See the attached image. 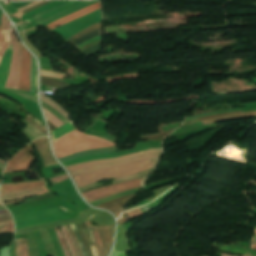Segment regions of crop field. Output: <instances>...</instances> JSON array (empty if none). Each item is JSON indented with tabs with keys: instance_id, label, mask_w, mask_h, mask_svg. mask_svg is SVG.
Returning a JSON list of instances; mask_svg holds the SVG:
<instances>
[{
	"instance_id": "8a807250",
	"label": "crop field",
	"mask_w": 256,
	"mask_h": 256,
	"mask_svg": "<svg viewBox=\"0 0 256 256\" xmlns=\"http://www.w3.org/2000/svg\"><path fill=\"white\" fill-rule=\"evenodd\" d=\"M57 158L82 150L115 146L114 144L77 132L76 130L52 142Z\"/></svg>"
},
{
	"instance_id": "ac0d7876",
	"label": "crop field",
	"mask_w": 256,
	"mask_h": 256,
	"mask_svg": "<svg viewBox=\"0 0 256 256\" xmlns=\"http://www.w3.org/2000/svg\"><path fill=\"white\" fill-rule=\"evenodd\" d=\"M158 158L145 160L137 163H133L126 166L104 169L100 171L89 172L83 175L73 177L77 188L86 184L102 181L105 179L116 178L139 171L154 168L157 164Z\"/></svg>"
},
{
	"instance_id": "34b2d1b8",
	"label": "crop field",
	"mask_w": 256,
	"mask_h": 256,
	"mask_svg": "<svg viewBox=\"0 0 256 256\" xmlns=\"http://www.w3.org/2000/svg\"><path fill=\"white\" fill-rule=\"evenodd\" d=\"M146 176L135 178V179L125 181L122 183L105 186V187L98 188L95 190L83 192L81 194L84 196L86 201L90 202V201H93V200H96V199H99V198H102V197H105V196H108V195H111L114 193L141 187L144 183Z\"/></svg>"
},
{
	"instance_id": "412701ff",
	"label": "crop field",
	"mask_w": 256,
	"mask_h": 256,
	"mask_svg": "<svg viewBox=\"0 0 256 256\" xmlns=\"http://www.w3.org/2000/svg\"><path fill=\"white\" fill-rule=\"evenodd\" d=\"M10 37H11V44L13 47V56L10 64L9 76L4 88L18 90L21 52H20L19 43L13 33V30H10Z\"/></svg>"
},
{
	"instance_id": "f4fd0767",
	"label": "crop field",
	"mask_w": 256,
	"mask_h": 256,
	"mask_svg": "<svg viewBox=\"0 0 256 256\" xmlns=\"http://www.w3.org/2000/svg\"><path fill=\"white\" fill-rule=\"evenodd\" d=\"M213 90L217 93L224 92H239V91H248L255 90L256 87L251 85L248 80L245 79H234L229 78L227 81H223L220 83L212 82Z\"/></svg>"
},
{
	"instance_id": "dd49c442",
	"label": "crop field",
	"mask_w": 256,
	"mask_h": 256,
	"mask_svg": "<svg viewBox=\"0 0 256 256\" xmlns=\"http://www.w3.org/2000/svg\"><path fill=\"white\" fill-rule=\"evenodd\" d=\"M30 147L27 145L18 151L9 161L5 172H15L20 170H28L33 162V157L29 153Z\"/></svg>"
},
{
	"instance_id": "e52e79f7",
	"label": "crop field",
	"mask_w": 256,
	"mask_h": 256,
	"mask_svg": "<svg viewBox=\"0 0 256 256\" xmlns=\"http://www.w3.org/2000/svg\"><path fill=\"white\" fill-rule=\"evenodd\" d=\"M21 52H22V64L20 68V82L19 90L29 91V73H30V53L24 49L20 42Z\"/></svg>"
},
{
	"instance_id": "d8731c3e",
	"label": "crop field",
	"mask_w": 256,
	"mask_h": 256,
	"mask_svg": "<svg viewBox=\"0 0 256 256\" xmlns=\"http://www.w3.org/2000/svg\"><path fill=\"white\" fill-rule=\"evenodd\" d=\"M146 149H150V148L143 147V148H136V149H133V150L123 151V152L87 155V156H82V157L75 158V159L67 161V162H63L62 164L64 166H66V165L79 163V162H84V161L119 157V156H124V155L130 154V153H133V152L142 151V150H146Z\"/></svg>"
},
{
	"instance_id": "5a996713",
	"label": "crop field",
	"mask_w": 256,
	"mask_h": 256,
	"mask_svg": "<svg viewBox=\"0 0 256 256\" xmlns=\"http://www.w3.org/2000/svg\"><path fill=\"white\" fill-rule=\"evenodd\" d=\"M45 192H48V190L45 188V186H43L39 188L25 189V190L2 194L0 195V198H1V202L4 203V202L28 198L41 193H45Z\"/></svg>"
},
{
	"instance_id": "3316defc",
	"label": "crop field",
	"mask_w": 256,
	"mask_h": 256,
	"mask_svg": "<svg viewBox=\"0 0 256 256\" xmlns=\"http://www.w3.org/2000/svg\"><path fill=\"white\" fill-rule=\"evenodd\" d=\"M159 151H161V149H151V150H147V151H144V152L133 153V154H130V155H127V156H124V157H119V158L79 163V164L67 166L66 169L68 170V172H70V171H73V170H76V169H79V168H82V167H85V166H89V165H100V164H106V163H113V162L129 159V158L141 156L143 154L154 153V152H159Z\"/></svg>"
},
{
	"instance_id": "28ad6ade",
	"label": "crop field",
	"mask_w": 256,
	"mask_h": 256,
	"mask_svg": "<svg viewBox=\"0 0 256 256\" xmlns=\"http://www.w3.org/2000/svg\"><path fill=\"white\" fill-rule=\"evenodd\" d=\"M160 153H161V152H159V153H154V154L143 155V156H141V157L129 159V160L122 161V162H118V163H114V164H106V165H101V166H90V167H86V168H82V169H79V170L70 172V174H71L72 176H74V175H78V174L85 173V172H89V171H93V170H98V169H104V168H109V167H115V166L126 165V164H130V163H133V162L145 160V159H150V158L159 157Z\"/></svg>"
},
{
	"instance_id": "d1516ede",
	"label": "crop field",
	"mask_w": 256,
	"mask_h": 256,
	"mask_svg": "<svg viewBox=\"0 0 256 256\" xmlns=\"http://www.w3.org/2000/svg\"><path fill=\"white\" fill-rule=\"evenodd\" d=\"M99 8H100V3L98 2V3H96L94 5H91V6L87 7V8H84V9L79 10L77 12H74V13H72L70 15H67V16H65V17H63V18H61V19H59V20H57V21H55V22L45 26V27L50 31V30H52V29H54V28H56V27H58L60 25H63V24H65V23H67V22H69L71 20H74V19H76V18H78V17H80L82 15H85V14H87V13L93 11V10L99 9Z\"/></svg>"
},
{
	"instance_id": "22f410ed",
	"label": "crop field",
	"mask_w": 256,
	"mask_h": 256,
	"mask_svg": "<svg viewBox=\"0 0 256 256\" xmlns=\"http://www.w3.org/2000/svg\"><path fill=\"white\" fill-rule=\"evenodd\" d=\"M11 56H12V48L10 45L6 53L3 55L2 62L0 65V88L4 87V84L8 75ZM21 92H24V91H21ZM25 93H29V92H25ZM29 94H32V93H29ZM32 95H36V94H32Z\"/></svg>"
},
{
	"instance_id": "cbeb9de0",
	"label": "crop field",
	"mask_w": 256,
	"mask_h": 256,
	"mask_svg": "<svg viewBox=\"0 0 256 256\" xmlns=\"http://www.w3.org/2000/svg\"><path fill=\"white\" fill-rule=\"evenodd\" d=\"M43 185H45L43 181H33V182L19 183V184H1L0 194L10 192V191L20 190V189H25V188L43 186Z\"/></svg>"
},
{
	"instance_id": "5142ce71",
	"label": "crop field",
	"mask_w": 256,
	"mask_h": 256,
	"mask_svg": "<svg viewBox=\"0 0 256 256\" xmlns=\"http://www.w3.org/2000/svg\"><path fill=\"white\" fill-rule=\"evenodd\" d=\"M66 226H67L68 230L70 231V233H71V235H72V237H73V239H74V242H75V244H76V246H77V249H78L79 256H82L81 251H80V248H79V246H78V243H77V241H76L75 235H74V233H73V230H72L70 224H68V225H66ZM66 226H62V227H60V228H61V230H62V232H63V234H64V236H65V238H66V240H67V242H68V245H69V248H70V250H71L72 256H78L77 250H76V246H75V244H74V242H73V240H72V238H71V236H70V234H69V232H68Z\"/></svg>"
},
{
	"instance_id": "d9b57169",
	"label": "crop field",
	"mask_w": 256,
	"mask_h": 256,
	"mask_svg": "<svg viewBox=\"0 0 256 256\" xmlns=\"http://www.w3.org/2000/svg\"><path fill=\"white\" fill-rule=\"evenodd\" d=\"M87 230H88L90 239L93 243V245H91L93 256H105L100 238L97 234V230H94V229H87Z\"/></svg>"
},
{
	"instance_id": "733c2abd",
	"label": "crop field",
	"mask_w": 256,
	"mask_h": 256,
	"mask_svg": "<svg viewBox=\"0 0 256 256\" xmlns=\"http://www.w3.org/2000/svg\"><path fill=\"white\" fill-rule=\"evenodd\" d=\"M16 256H28L26 239L15 240Z\"/></svg>"
},
{
	"instance_id": "4a817a6b",
	"label": "crop field",
	"mask_w": 256,
	"mask_h": 256,
	"mask_svg": "<svg viewBox=\"0 0 256 256\" xmlns=\"http://www.w3.org/2000/svg\"><path fill=\"white\" fill-rule=\"evenodd\" d=\"M57 80L52 79V78H48V77H41V84L47 85V86L58 87V88H61V89L65 88V87L72 86L70 84H67V83L61 82V81H57Z\"/></svg>"
},
{
	"instance_id": "bc2a9ffb",
	"label": "crop field",
	"mask_w": 256,
	"mask_h": 256,
	"mask_svg": "<svg viewBox=\"0 0 256 256\" xmlns=\"http://www.w3.org/2000/svg\"><path fill=\"white\" fill-rule=\"evenodd\" d=\"M75 129V127L72 125L71 122H68L67 124H65L64 126L58 128V129H55L53 132H52V135H53V140L61 137L62 135L68 133L69 131Z\"/></svg>"
},
{
	"instance_id": "214f88e0",
	"label": "crop field",
	"mask_w": 256,
	"mask_h": 256,
	"mask_svg": "<svg viewBox=\"0 0 256 256\" xmlns=\"http://www.w3.org/2000/svg\"><path fill=\"white\" fill-rule=\"evenodd\" d=\"M8 45H9L8 31L0 29V58Z\"/></svg>"
},
{
	"instance_id": "92a150f3",
	"label": "crop field",
	"mask_w": 256,
	"mask_h": 256,
	"mask_svg": "<svg viewBox=\"0 0 256 256\" xmlns=\"http://www.w3.org/2000/svg\"><path fill=\"white\" fill-rule=\"evenodd\" d=\"M65 256H71L68 245L59 227L54 228Z\"/></svg>"
},
{
	"instance_id": "dafd665d",
	"label": "crop field",
	"mask_w": 256,
	"mask_h": 256,
	"mask_svg": "<svg viewBox=\"0 0 256 256\" xmlns=\"http://www.w3.org/2000/svg\"><path fill=\"white\" fill-rule=\"evenodd\" d=\"M31 63H32V68H31V73H30V91H32V70H33V57L31 56ZM33 92L37 93V66L36 62L34 59V71H33Z\"/></svg>"
},
{
	"instance_id": "00972430",
	"label": "crop field",
	"mask_w": 256,
	"mask_h": 256,
	"mask_svg": "<svg viewBox=\"0 0 256 256\" xmlns=\"http://www.w3.org/2000/svg\"><path fill=\"white\" fill-rule=\"evenodd\" d=\"M43 97L46 98L47 100L53 102L54 104H56L60 109H62V110L67 114V116H66L57 106H55V105L52 104L51 102L47 101V100L44 99ZM41 100H43L44 102H46L47 104H49L51 107H53L56 111H58L61 115H63L66 119H68V120L70 121V119H69V114H68L61 106H59L56 102H54L52 99H50V98H48L47 96L41 94Z\"/></svg>"
},
{
	"instance_id": "a9b5d70f",
	"label": "crop field",
	"mask_w": 256,
	"mask_h": 256,
	"mask_svg": "<svg viewBox=\"0 0 256 256\" xmlns=\"http://www.w3.org/2000/svg\"><path fill=\"white\" fill-rule=\"evenodd\" d=\"M87 2H89V1H82V2H80V3H78V4L74 5V6H72V7H70V8H68V9H66V10H63V11H61V12H59V13H56V14H54V15L48 17V18H45V19L39 21L38 23L42 24V23L46 22L47 20H49V19H51V18H53V17H55V16L61 15V14L65 13V12H68V11H70V10H72V9H75V8H77V7H79V6L83 5V4H85V3H87ZM40 24H39V25H40Z\"/></svg>"
},
{
	"instance_id": "4177f3b9",
	"label": "crop field",
	"mask_w": 256,
	"mask_h": 256,
	"mask_svg": "<svg viewBox=\"0 0 256 256\" xmlns=\"http://www.w3.org/2000/svg\"><path fill=\"white\" fill-rule=\"evenodd\" d=\"M25 120L27 122H29L30 124H32L34 127H36L38 130H40L43 134H45L47 136L45 126H43L42 124L37 122L35 119L30 117L29 115L27 116V118Z\"/></svg>"
},
{
	"instance_id": "730fd06b",
	"label": "crop field",
	"mask_w": 256,
	"mask_h": 256,
	"mask_svg": "<svg viewBox=\"0 0 256 256\" xmlns=\"http://www.w3.org/2000/svg\"><path fill=\"white\" fill-rule=\"evenodd\" d=\"M44 114L46 118L56 127L63 125L62 122H60L56 117H54L50 112H48L46 109L43 108Z\"/></svg>"
},
{
	"instance_id": "eef30255",
	"label": "crop field",
	"mask_w": 256,
	"mask_h": 256,
	"mask_svg": "<svg viewBox=\"0 0 256 256\" xmlns=\"http://www.w3.org/2000/svg\"><path fill=\"white\" fill-rule=\"evenodd\" d=\"M72 2H74V1H69V2H67V3H65V4H63V5H61V6H58V7H56V8H53V9H50V10L45 11V12H43V13H40V14L34 16L33 18L27 20V22H29V21H31V20H33V19H35V18H38V17H40V16H42V15H45V14L51 12V11H54V10H56V9H58V8H61V7L65 6V5H67V4H70V3H72Z\"/></svg>"
},
{
	"instance_id": "ae1a2a85",
	"label": "crop field",
	"mask_w": 256,
	"mask_h": 256,
	"mask_svg": "<svg viewBox=\"0 0 256 256\" xmlns=\"http://www.w3.org/2000/svg\"><path fill=\"white\" fill-rule=\"evenodd\" d=\"M66 179H69V177L67 176V174L65 175H62V176H59V177H56V178H52V179H49V181L53 184L57 183V182H60V181H63V180H66Z\"/></svg>"
},
{
	"instance_id": "d3111659",
	"label": "crop field",
	"mask_w": 256,
	"mask_h": 256,
	"mask_svg": "<svg viewBox=\"0 0 256 256\" xmlns=\"http://www.w3.org/2000/svg\"><path fill=\"white\" fill-rule=\"evenodd\" d=\"M0 233H13V223L0 228Z\"/></svg>"
},
{
	"instance_id": "750c4746",
	"label": "crop field",
	"mask_w": 256,
	"mask_h": 256,
	"mask_svg": "<svg viewBox=\"0 0 256 256\" xmlns=\"http://www.w3.org/2000/svg\"><path fill=\"white\" fill-rule=\"evenodd\" d=\"M100 38H101V35H100V36H97V37H95V38H93V39H91V40H89V41H87V42H85V43H83V44L77 46V47L80 48V47H82V46H84V45H86V44H88V43H90V42H92V41H94V40H96V39H100Z\"/></svg>"
},
{
	"instance_id": "bd1437ed",
	"label": "crop field",
	"mask_w": 256,
	"mask_h": 256,
	"mask_svg": "<svg viewBox=\"0 0 256 256\" xmlns=\"http://www.w3.org/2000/svg\"><path fill=\"white\" fill-rule=\"evenodd\" d=\"M8 219H12L11 214L0 216V222Z\"/></svg>"
},
{
	"instance_id": "1d83c4d3",
	"label": "crop field",
	"mask_w": 256,
	"mask_h": 256,
	"mask_svg": "<svg viewBox=\"0 0 256 256\" xmlns=\"http://www.w3.org/2000/svg\"><path fill=\"white\" fill-rule=\"evenodd\" d=\"M8 247H4L0 250V256H7Z\"/></svg>"
},
{
	"instance_id": "120bbe31",
	"label": "crop field",
	"mask_w": 256,
	"mask_h": 256,
	"mask_svg": "<svg viewBox=\"0 0 256 256\" xmlns=\"http://www.w3.org/2000/svg\"><path fill=\"white\" fill-rule=\"evenodd\" d=\"M12 222H13L12 220L2 222V223H0V227L3 225H6V224L12 223Z\"/></svg>"
},
{
	"instance_id": "d32e631a",
	"label": "crop field",
	"mask_w": 256,
	"mask_h": 256,
	"mask_svg": "<svg viewBox=\"0 0 256 256\" xmlns=\"http://www.w3.org/2000/svg\"><path fill=\"white\" fill-rule=\"evenodd\" d=\"M9 212L7 211V210H2V211H0V215H2V214H8Z\"/></svg>"
},
{
	"instance_id": "5866460e",
	"label": "crop field",
	"mask_w": 256,
	"mask_h": 256,
	"mask_svg": "<svg viewBox=\"0 0 256 256\" xmlns=\"http://www.w3.org/2000/svg\"><path fill=\"white\" fill-rule=\"evenodd\" d=\"M249 248H251V249H255L256 250V246L255 245H250V247Z\"/></svg>"
},
{
	"instance_id": "028f5c9d",
	"label": "crop field",
	"mask_w": 256,
	"mask_h": 256,
	"mask_svg": "<svg viewBox=\"0 0 256 256\" xmlns=\"http://www.w3.org/2000/svg\"><path fill=\"white\" fill-rule=\"evenodd\" d=\"M117 256H125L124 253H117Z\"/></svg>"
},
{
	"instance_id": "e1f06a70",
	"label": "crop field",
	"mask_w": 256,
	"mask_h": 256,
	"mask_svg": "<svg viewBox=\"0 0 256 256\" xmlns=\"http://www.w3.org/2000/svg\"><path fill=\"white\" fill-rule=\"evenodd\" d=\"M250 243L256 244V241L252 239Z\"/></svg>"
},
{
	"instance_id": "0bd39190",
	"label": "crop field",
	"mask_w": 256,
	"mask_h": 256,
	"mask_svg": "<svg viewBox=\"0 0 256 256\" xmlns=\"http://www.w3.org/2000/svg\"><path fill=\"white\" fill-rule=\"evenodd\" d=\"M220 256H229V255H225V254H222V253H221V255H220Z\"/></svg>"
},
{
	"instance_id": "b80d0937",
	"label": "crop field",
	"mask_w": 256,
	"mask_h": 256,
	"mask_svg": "<svg viewBox=\"0 0 256 256\" xmlns=\"http://www.w3.org/2000/svg\"><path fill=\"white\" fill-rule=\"evenodd\" d=\"M254 239H256V235H255Z\"/></svg>"
},
{
	"instance_id": "c035e120",
	"label": "crop field",
	"mask_w": 256,
	"mask_h": 256,
	"mask_svg": "<svg viewBox=\"0 0 256 256\" xmlns=\"http://www.w3.org/2000/svg\"><path fill=\"white\" fill-rule=\"evenodd\" d=\"M255 234H256V230H255Z\"/></svg>"
}]
</instances>
